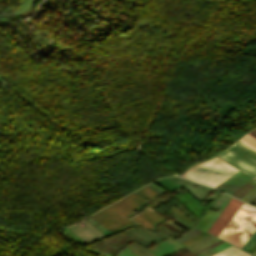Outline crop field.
Masks as SVG:
<instances>
[{
	"instance_id": "crop-field-1",
	"label": "crop field",
	"mask_w": 256,
	"mask_h": 256,
	"mask_svg": "<svg viewBox=\"0 0 256 256\" xmlns=\"http://www.w3.org/2000/svg\"><path fill=\"white\" fill-rule=\"evenodd\" d=\"M242 203L243 202L232 197L207 232L218 237ZM255 228L256 208L243 203L219 235V238L241 248Z\"/></svg>"
},
{
	"instance_id": "crop-field-2",
	"label": "crop field",
	"mask_w": 256,
	"mask_h": 256,
	"mask_svg": "<svg viewBox=\"0 0 256 256\" xmlns=\"http://www.w3.org/2000/svg\"><path fill=\"white\" fill-rule=\"evenodd\" d=\"M146 202L139 194L132 192L119 201L91 215L97 222L111 233L137 225L127 217L134 214Z\"/></svg>"
},
{
	"instance_id": "crop-field-3",
	"label": "crop field",
	"mask_w": 256,
	"mask_h": 256,
	"mask_svg": "<svg viewBox=\"0 0 256 256\" xmlns=\"http://www.w3.org/2000/svg\"><path fill=\"white\" fill-rule=\"evenodd\" d=\"M237 171L225 161L214 157L190 167L181 177L215 187Z\"/></svg>"
},
{
	"instance_id": "crop-field-4",
	"label": "crop field",
	"mask_w": 256,
	"mask_h": 256,
	"mask_svg": "<svg viewBox=\"0 0 256 256\" xmlns=\"http://www.w3.org/2000/svg\"><path fill=\"white\" fill-rule=\"evenodd\" d=\"M226 160L251 177L256 176V151L241 141H236L219 154Z\"/></svg>"
},
{
	"instance_id": "crop-field-5",
	"label": "crop field",
	"mask_w": 256,
	"mask_h": 256,
	"mask_svg": "<svg viewBox=\"0 0 256 256\" xmlns=\"http://www.w3.org/2000/svg\"><path fill=\"white\" fill-rule=\"evenodd\" d=\"M137 224L155 230L154 226L166 219L151 208H145L141 213L131 217Z\"/></svg>"
},
{
	"instance_id": "crop-field-6",
	"label": "crop field",
	"mask_w": 256,
	"mask_h": 256,
	"mask_svg": "<svg viewBox=\"0 0 256 256\" xmlns=\"http://www.w3.org/2000/svg\"><path fill=\"white\" fill-rule=\"evenodd\" d=\"M211 256H250V255L231 245Z\"/></svg>"
},
{
	"instance_id": "crop-field-7",
	"label": "crop field",
	"mask_w": 256,
	"mask_h": 256,
	"mask_svg": "<svg viewBox=\"0 0 256 256\" xmlns=\"http://www.w3.org/2000/svg\"><path fill=\"white\" fill-rule=\"evenodd\" d=\"M137 192H139L141 195H143L147 199H153L157 194H159L158 192L154 191L153 189L147 186L137 190Z\"/></svg>"
},
{
	"instance_id": "crop-field-8",
	"label": "crop field",
	"mask_w": 256,
	"mask_h": 256,
	"mask_svg": "<svg viewBox=\"0 0 256 256\" xmlns=\"http://www.w3.org/2000/svg\"><path fill=\"white\" fill-rule=\"evenodd\" d=\"M255 242H256V229L241 249L249 252V250L252 248V246L255 244Z\"/></svg>"
},
{
	"instance_id": "crop-field-9",
	"label": "crop field",
	"mask_w": 256,
	"mask_h": 256,
	"mask_svg": "<svg viewBox=\"0 0 256 256\" xmlns=\"http://www.w3.org/2000/svg\"><path fill=\"white\" fill-rule=\"evenodd\" d=\"M239 140H241L242 142L246 143L247 145L256 150V139L251 137L250 135L246 134Z\"/></svg>"
},
{
	"instance_id": "crop-field-10",
	"label": "crop field",
	"mask_w": 256,
	"mask_h": 256,
	"mask_svg": "<svg viewBox=\"0 0 256 256\" xmlns=\"http://www.w3.org/2000/svg\"><path fill=\"white\" fill-rule=\"evenodd\" d=\"M207 235L208 234L203 232V233H201V234H199V235H197V236H195V237H193V238H191V239H189V240H187V241H185V242H183L181 244L187 246V245H189V244H191V243H193V242H195V241H197V240H199V239H201V238H203V237H205Z\"/></svg>"
},
{
	"instance_id": "crop-field-11",
	"label": "crop field",
	"mask_w": 256,
	"mask_h": 256,
	"mask_svg": "<svg viewBox=\"0 0 256 256\" xmlns=\"http://www.w3.org/2000/svg\"><path fill=\"white\" fill-rule=\"evenodd\" d=\"M171 210H173L176 214H178L180 217H182L184 220H186L188 223H193L195 221L191 220L190 218L183 215L175 206L170 207Z\"/></svg>"
},
{
	"instance_id": "crop-field-12",
	"label": "crop field",
	"mask_w": 256,
	"mask_h": 256,
	"mask_svg": "<svg viewBox=\"0 0 256 256\" xmlns=\"http://www.w3.org/2000/svg\"><path fill=\"white\" fill-rule=\"evenodd\" d=\"M251 136L255 137L256 138V129L252 130L250 133Z\"/></svg>"
},
{
	"instance_id": "crop-field-13",
	"label": "crop field",
	"mask_w": 256,
	"mask_h": 256,
	"mask_svg": "<svg viewBox=\"0 0 256 256\" xmlns=\"http://www.w3.org/2000/svg\"><path fill=\"white\" fill-rule=\"evenodd\" d=\"M254 252H256V244L254 245V247L250 251V253H254Z\"/></svg>"
}]
</instances>
